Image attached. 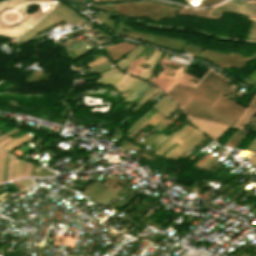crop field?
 <instances>
[{"instance_id": "1", "label": "crop field", "mask_w": 256, "mask_h": 256, "mask_svg": "<svg viewBox=\"0 0 256 256\" xmlns=\"http://www.w3.org/2000/svg\"><path fill=\"white\" fill-rule=\"evenodd\" d=\"M200 82L207 85L219 94H223L229 85L228 81L210 71ZM203 84L198 82L195 87H192L177 82L167 91V94L170 95L175 101H177L182 107L189 99V97L193 95L195 98L211 106L214 105L239 120L245 109L234 104L223 95L217 94ZM193 96H191V98L183 107V110L188 112L193 117L230 126H235L237 123V120L230 117L223 111L217 109L214 106L211 108V106L195 99ZM255 110L256 97L248 109L245 110L242 117L236 124V127L243 128Z\"/></svg>"}, {"instance_id": "2", "label": "crop field", "mask_w": 256, "mask_h": 256, "mask_svg": "<svg viewBox=\"0 0 256 256\" xmlns=\"http://www.w3.org/2000/svg\"><path fill=\"white\" fill-rule=\"evenodd\" d=\"M190 129V127L187 125L182 131H180V132H178L175 136H173V137H171L164 145H162L155 153L158 155L159 154V152L164 148V147H166L170 142H172L173 140H175L176 138H178L179 136H181V135H183L187 130H189ZM192 131H194V129H190L188 132H186L183 136H181L180 138H178V139H176L175 141H173L172 143H170L166 148H168L169 146H171L172 144H174L176 141H178V140H181L182 138H184V137H186L189 133H191ZM197 131L195 130L194 132H192L190 135H188L186 138H184V139H182L180 142L181 143H183L184 141H186L189 137H191L192 135H194L195 133H196ZM198 134H200L199 132L198 133H196L194 136H192L191 138H189L186 142H184L183 144H181V146L183 147L184 145H186L188 142H190L195 136H197ZM201 135V134H200ZM200 135H198L197 137H195L191 142H193L195 139H197ZM203 137V135L201 136V137H199L197 140H195L193 143H189V144H187V145H189V146H185V147H180V148H182V149H184V150H182V149H180L179 147H177V146H179L180 144H178L177 146H175L174 148H176V149H174V148H172L171 150H173L170 154H169V152L171 151V150H169L168 151V153L166 154V156H167V158H170L171 157V155H172V153L174 152V151H176V150H178V149H180V150H178V151H176V152H174L173 153V155H172V157L173 156H175L178 152H180L181 150V152L180 153H178L175 157H173V159H175L178 155H180L181 153H183L185 150H187L190 146H192L194 143H196L198 140H200L201 138ZM199 142V141H198ZM166 148H164L161 152H160V154H159V156L162 154V152L163 151H165V149ZM165 156V155H164ZM165 156V157H166ZM171 157V158H172Z\"/></svg>"}, {"instance_id": "3", "label": "crop field", "mask_w": 256, "mask_h": 256, "mask_svg": "<svg viewBox=\"0 0 256 256\" xmlns=\"http://www.w3.org/2000/svg\"><path fill=\"white\" fill-rule=\"evenodd\" d=\"M221 10L240 12V10L237 8V6L234 4V2L232 0L222 6H219V7L210 9V10L184 9V10H181L180 13L195 14V15H199V16H209L210 15V17H217L220 15Z\"/></svg>"}, {"instance_id": "4", "label": "crop field", "mask_w": 256, "mask_h": 256, "mask_svg": "<svg viewBox=\"0 0 256 256\" xmlns=\"http://www.w3.org/2000/svg\"><path fill=\"white\" fill-rule=\"evenodd\" d=\"M115 69L109 71V72H106V73H103L102 77H100L98 80H100L101 78H103L104 76L108 75L109 73H111L112 71H114ZM116 71H114L113 73L109 74L108 76H106L105 78L101 79L100 81L98 82H102L104 81L105 79H107L109 76H111L112 74H114ZM123 75L118 71L117 73H115L114 75H112L110 78H108L107 80H105L104 82H102L103 84H115ZM127 77V75H124L115 85L114 87L116 88L125 78ZM132 77L128 76L118 87L117 89H121ZM134 80V78H132L120 91L122 92L132 81Z\"/></svg>"}, {"instance_id": "5", "label": "crop field", "mask_w": 256, "mask_h": 256, "mask_svg": "<svg viewBox=\"0 0 256 256\" xmlns=\"http://www.w3.org/2000/svg\"><path fill=\"white\" fill-rule=\"evenodd\" d=\"M13 158H14V157L11 156V157H10V161H9L8 181L11 180V167H12V163H13ZM15 165H16V162L13 163V167H12V179L15 178ZM19 165H20V160H18L17 165H16V178L18 177ZM25 165H26V163H25ZM23 166H24V162L21 161L19 177L22 176V173H23ZM30 166H31V165L27 164L25 175L28 174V171H29V169H30ZM31 167H32V166H31ZM24 172H25V166H24ZM29 172H30V171H29ZM23 176H24V174H23Z\"/></svg>"}, {"instance_id": "6", "label": "crop field", "mask_w": 256, "mask_h": 256, "mask_svg": "<svg viewBox=\"0 0 256 256\" xmlns=\"http://www.w3.org/2000/svg\"><path fill=\"white\" fill-rule=\"evenodd\" d=\"M173 105V104L169 99H167L165 96L157 103L155 104L153 107H155L157 110H159L161 113H165L166 111H168ZM176 106V105H175ZM173 106L167 113H165L164 115H168L171 110L175 107Z\"/></svg>"}, {"instance_id": "7", "label": "crop field", "mask_w": 256, "mask_h": 256, "mask_svg": "<svg viewBox=\"0 0 256 256\" xmlns=\"http://www.w3.org/2000/svg\"><path fill=\"white\" fill-rule=\"evenodd\" d=\"M192 125H194L196 128H198L201 132L203 131L205 134H207L212 139L218 140L220 138V136L223 134V131L207 128V127L196 125V124H192Z\"/></svg>"}, {"instance_id": "8", "label": "crop field", "mask_w": 256, "mask_h": 256, "mask_svg": "<svg viewBox=\"0 0 256 256\" xmlns=\"http://www.w3.org/2000/svg\"><path fill=\"white\" fill-rule=\"evenodd\" d=\"M236 4L238 5L241 12H243L247 15H251V16L256 17V15H255L256 14V2L250 3V5H251L252 9L254 10L255 14H254L253 10L251 9V7L248 3L240 4V3L236 2Z\"/></svg>"}, {"instance_id": "9", "label": "crop field", "mask_w": 256, "mask_h": 256, "mask_svg": "<svg viewBox=\"0 0 256 256\" xmlns=\"http://www.w3.org/2000/svg\"><path fill=\"white\" fill-rule=\"evenodd\" d=\"M139 46L140 45H137L126 57H128L131 53H133ZM143 48L144 46H140L125 62H123L125 59H121L120 61H118L116 63L117 66L123 62L119 66L121 69H123Z\"/></svg>"}, {"instance_id": "10", "label": "crop field", "mask_w": 256, "mask_h": 256, "mask_svg": "<svg viewBox=\"0 0 256 256\" xmlns=\"http://www.w3.org/2000/svg\"><path fill=\"white\" fill-rule=\"evenodd\" d=\"M162 55V52L158 51L157 55L155 56L154 60L152 61L151 65L149 66L148 70L145 71V73L142 75V78L148 80L150 75L152 74V70L155 67V65L158 63L160 57Z\"/></svg>"}, {"instance_id": "11", "label": "crop field", "mask_w": 256, "mask_h": 256, "mask_svg": "<svg viewBox=\"0 0 256 256\" xmlns=\"http://www.w3.org/2000/svg\"><path fill=\"white\" fill-rule=\"evenodd\" d=\"M247 131L239 129L238 132L229 140L227 145L235 147L237 143L244 137Z\"/></svg>"}, {"instance_id": "12", "label": "crop field", "mask_w": 256, "mask_h": 256, "mask_svg": "<svg viewBox=\"0 0 256 256\" xmlns=\"http://www.w3.org/2000/svg\"><path fill=\"white\" fill-rule=\"evenodd\" d=\"M36 168H38L39 170L35 171ZM44 170H46L47 172H44ZM50 173L51 171L34 165L29 176H49Z\"/></svg>"}, {"instance_id": "13", "label": "crop field", "mask_w": 256, "mask_h": 256, "mask_svg": "<svg viewBox=\"0 0 256 256\" xmlns=\"http://www.w3.org/2000/svg\"><path fill=\"white\" fill-rule=\"evenodd\" d=\"M119 189H120V187H119ZM119 189H118V190H119ZM121 189H122V188H121ZM121 189H120V190H121ZM118 190H117V191H118ZM120 190H119V191H120ZM112 191H113V189H108V190H107L103 195H101L96 201L101 202V201L104 200L105 197H106L109 193H111ZM114 191H115V190H114ZM114 191H113V192H114ZM117 191H115V193H116ZM119 191H118V192H119ZM113 192H112V193H113ZM118 192H117V193H118ZM112 193H111V194H112ZM115 193H114V194H115ZM117 193H116V194H117ZM111 194H110V195H111ZM114 194H112L111 196L108 195V196L106 197V199H107L109 196H110V197H109L107 200L105 199V200H106V201L104 200L105 202L102 201V203L104 202V204H105ZM116 194H115V195H116ZM115 195H114V196H115Z\"/></svg>"}, {"instance_id": "14", "label": "crop field", "mask_w": 256, "mask_h": 256, "mask_svg": "<svg viewBox=\"0 0 256 256\" xmlns=\"http://www.w3.org/2000/svg\"><path fill=\"white\" fill-rule=\"evenodd\" d=\"M107 190V188L103 187L100 185V187L95 190L93 193H91L90 195H88L90 198L96 200L101 194H103L105 191Z\"/></svg>"}, {"instance_id": "15", "label": "crop field", "mask_w": 256, "mask_h": 256, "mask_svg": "<svg viewBox=\"0 0 256 256\" xmlns=\"http://www.w3.org/2000/svg\"><path fill=\"white\" fill-rule=\"evenodd\" d=\"M10 155L6 153L5 157V164H4V173H3V178L2 181L5 182L7 181V172H8V161H9Z\"/></svg>"}, {"instance_id": "16", "label": "crop field", "mask_w": 256, "mask_h": 256, "mask_svg": "<svg viewBox=\"0 0 256 256\" xmlns=\"http://www.w3.org/2000/svg\"><path fill=\"white\" fill-rule=\"evenodd\" d=\"M148 88V86H146L145 84L141 83V85L138 87V89L136 90V92L130 96L129 98L134 97L135 95H140L144 90H146ZM135 96V98H136Z\"/></svg>"}, {"instance_id": "17", "label": "crop field", "mask_w": 256, "mask_h": 256, "mask_svg": "<svg viewBox=\"0 0 256 256\" xmlns=\"http://www.w3.org/2000/svg\"><path fill=\"white\" fill-rule=\"evenodd\" d=\"M25 135H26V134H25ZM23 136H24V135H23ZM23 136H21V137H23ZM21 137H20V138H21ZM28 137H29V136H27V137H25V138H23V139H21V140H18V139H20V138H18V139H17L18 141L15 140L16 142L13 141V142H15V143L11 142V143H13L12 145H10L11 143H9L8 145H10V146L7 145L8 147H7V146H5V147H7L6 149L11 150L12 148H14V147H16V146L21 145L22 143L19 144V145H16V144L19 143V142H21V141H23L24 139H26V138H28ZM26 140H27V139H26ZM5 147H4V148H5Z\"/></svg>"}, {"instance_id": "18", "label": "crop field", "mask_w": 256, "mask_h": 256, "mask_svg": "<svg viewBox=\"0 0 256 256\" xmlns=\"http://www.w3.org/2000/svg\"><path fill=\"white\" fill-rule=\"evenodd\" d=\"M247 40L256 41V20H255L254 27Z\"/></svg>"}, {"instance_id": "19", "label": "crop field", "mask_w": 256, "mask_h": 256, "mask_svg": "<svg viewBox=\"0 0 256 256\" xmlns=\"http://www.w3.org/2000/svg\"><path fill=\"white\" fill-rule=\"evenodd\" d=\"M184 127H185V125H184L181 129H183ZM181 129H180V130H181ZM180 130H178V131H180ZM178 131H177V132H178ZM177 132H175V133H177ZM175 133H174V134H175ZM171 136H172V135H171ZM171 136H170V137H171ZM162 137H164V135L161 134L159 137H157V138H156L155 140H153V141H156V142H157V141L160 140ZM165 138H167V137H164L163 139H161V140H160L159 142H157V143L155 142L156 145H157L158 143H160L162 140H164ZM168 138H169V137H168ZM168 138H167V139H168ZM167 139H165V140H167ZM165 140H164V141H165ZM164 141H163V142H164ZM151 142H152V141H151ZM151 142H150V143H151ZM163 142H161V143H163ZM161 143H160V144H161ZM160 144H159V145H160ZM147 145H148V144H147ZM159 145H157V146H159ZM157 146H156V147H157Z\"/></svg>"}, {"instance_id": "20", "label": "crop field", "mask_w": 256, "mask_h": 256, "mask_svg": "<svg viewBox=\"0 0 256 256\" xmlns=\"http://www.w3.org/2000/svg\"><path fill=\"white\" fill-rule=\"evenodd\" d=\"M23 186L24 188L33 185V183L31 182L30 179H22V180H18Z\"/></svg>"}, {"instance_id": "21", "label": "crop field", "mask_w": 256, "mask_h": 256, "mask_svg": "<svg viewBox=\"0 0 256 256\" xmlns=\"http://www.w3.org/2000/svg\"><path fill=\"white\" fill-rule=\"evenodd\" d=\"M104 61H106V59L102 56V57L96 59L95 61L89 63V65L93 66L95 64H99V63L104 62Z\"/></svg>"}, {"instance_id": "22", "label": "crop field", "mask_w": 256, "mask_h": 256, "mask_svg": "<svg viewBox=\"0 0 256 256\" xmlns=\"http://www.w3.org/2000/svg\"><path fill=\"white\" fill-rule=\"evenodd\" d=\"M211 155H207V156H205L203 159H201L197 164H195L194 166L195 167H200V165L203 163V162H205L209 157H210Z\"/></svg>"}, {"instance_id": "23", "label": "crop field", "mask_w": 256, "mask_h": 256, "mask_svg": "<svg viewBox=\"0 0 256 256\" xmlns=\"http://www.w3.org/2000/svg\"><path fill=\"white\" fill-rule=\"evenodd\" d=\"M247 149L256 151V139L250 144Z\"/></svg>"}, {"instance_id": "24", "label": "crop field", "mask_w": 256, "mask_h": 256, "mask_svg": "<svg viewBox=\"0 0 256 256\" xmlns=\"http://www.w3.org/2000/svg\"><path fill=\"white\" fill-rule=\"evenodd\" d=\"M0 155H1V153H0ZM4 157H5V152H3V159H2V155H1L2 165H1V173H0V182H2V181H1V177H2V171H3V161H4ZM0 164H1V161H0Z\"/></svg>"}, {"instance_id": "25", "label": "crop field", "mask_w": 256, "mask_h": 256, "mask_svg": "<svg viewBox=\"0 0 256 256\" xmlns=\"http://www.w3.org/2000/svg\"><path fill=\"white\" fill-rule=\"evenodd\" d=\"M225 150H226V149L221 150V151H220L219 153H217L216 155L222 153V152L225 151ZM216 155H215V156H216ZM215 156L209 158L205 163H203V164L201 165V168H203V167L206 165V163L209 162L210 160H212Z\"/></svg>"}, {"instance_id": "26", "label": "crop field", "mask_w": 256, "mask_h": 256, "mask_svg": "<svg viewBox=\"0 0 256 256\" xmlns=\"http://www.w3.org/2000/svg\"><path fill=\"white\" fill-rule=\"evenodd\" d=\"M148 119H143L134 129H132L130 136L133 134V132L135 131L136 128H138L140 125H142L145 121H147ZM129 135V134H128Z\"/></svg>"}, {"instance_id": "27", "label": "crop field", "mask_w": 256, "mask_h": 256, "mask_svg": "<svg viewBox=\"0 0 256 256\" xmlns=\"http://www.w3.org/2000/svg\"><path fill=\"white\" fill-rule=\"evenodd\" d=\"M248 160H250L253 163V165L256 166V152H254L253 157L248 158Z\"/></svg>"}, {"instance_id": "28", "label": "crop field", "mask_w": 256, "mask_h": 256, "mask_svg": "<svg viewBox=\"0 0 256 256\" xmlns=\"http://www.w3.org/2000/svg\"><path fill=\"white\" fill-rule=\"evenodd\" d=\"M156 92H157V90L153 94H155ZM153 94H151L149 97H147L137 108H139L142 104H144L147 101V99L150 98Z\"/></svg>"}, {"instance_id": "29", "label": "crop field", "mask_w": 256, "mask_h": 256, "mask_svg": "<svg viewBox=\"0 0 256 256\" xmlns=\"http://www.w3.org/2000/svg\"><path fill=\"white\" fill-rule=\"evenodd\" d=\"M154 134H155V133H154ZM157 135H158L157 133H156L155 135H153V136L151 135L152 137L150 136L151 138L149 137L150 139L147 138V139H149V140L146 139L147 141H146V140H145V141L148 143V142H150V141H151L155 136H157ZM143 142H144V141H143ZM147 143H146V144H147ZM146 144H145V145H146Z\"/></svg>"}, {"instance_id": "30", "label": "crop field", "mask_w": 256, "mask_h": 256, "mask_svg": "<svg viewBox=\"0 0 256 256\" xmlns=\"http://www.w3.org/2000/svg\"><path fill=\"white\" fill-rule=\"evenodd\" d=\"M151 110H152V109H151ZM151 110H149V111L144 115V117H145ZM144 117H143V118H144ZM140 119H141V118H140ZM140 119H139V120H140ZM139 120H138V121H139ZM138 121H137V122H138ZM135 123H136V122H135ZM135 123H134V124H135ZM134 124H133V125H134ZM133 125H132V126H133ZM136 125H137V123H136L133 127H135ZM132 126H131V127H132ZM131 127H130V128H131ZM133 127H132V128H133ZM130 128H129V129H130ZM132 128H131V129H132ZM131 129H130V131H131Z\"/></svg>"}, {"instance_id": "31", "label": "crop field", "mask_w": 256, "mask_h": 256, "mask_svg": "<svg viewBox=\"0 0 256 256\" xmlns=\"http://www.w3.org/2000/svg\"><path fill=\"white\" fill-rule=\"evenodd\" d=\"M154 91H155V89H153L149 94L153 93ZM147 96H148V94L140 101V103H141ZM138 105H139V104H138ZM138 105H137V106H138ZM137 106H136V107H137ZM133 109H134V108H133ZM133 109H132V110H133Z\"/></svg>"}, {"instance_id": "32", "label": "crop field", "mask_w": 256, "mask_h": 256, "mask_svg": "<svg viewBox=\"0 0 256 256\" xmlns=\"http://www.w3.org/2000/svg\"><path fill=\"white\" fill-rule=\"evenodd\" d=\"M16 139V137L15 138H13V139H11L10 141H8L7 143H9V142H11V141H13V140H15ZM7 143H5L3 146H2V148L7 144Z\"/></svg>"}, {"instance_id": "33", "label": "crop field", "mask_w": 256, "mask_h": 256, "mask_svg": "<svg viewBox=\"0 0 256 256\" xmlns=\"http://www.w3.org/2000/svg\"><path fill=\"white\" fill-rule=\"evenodd\" d=\"M152 90V88H150L141 98H140V100L149 92V91H151Z\"/></svg>"}, {"instance_id": "34", "label": "crop field", "mask_w": 256, "mask_h": 256, "mask_svg": "<svg viewBox=\"0 0 256 256\" xmlns=\"http://www.w3.org/2000/svg\"><path fill=\"white\" fill-rule=\"evenodd\" d=\"M95 183H96V182H95ZM95 183H94V184H95ZM96 185H97V184H96ZM98 185H99V184H98ZM91 186H92V185H91ZM91 186H90V187H91ZM90 187H89V188H90ZM98 187H99V186H98ZM98 187H96V188H98ZM94 188H95V187H94ZM94 188H93V189H94ZM96 188H95V189H96ZM87 189H88V188H87ZM93 189H92V190H93ZM95 189H94V190H95ZM92 190H90V191H92ZM94 190H93V191H94ZM86 191H87V190H86ZM90 191H89V192H90ZM83 192H84V191H83ZM83 192H82V193H83ZM90 193H91V192H90Z\"/></svg>"}, {"instance_id": "35", "label": "crop field", "mask_w": 256, "mask_h": 256, "mask_svg": "<svg viewBox=\"0 0 256 256\" xmlns=\"http://www.w3.org/2000/svg\"><path fill=\"white\" fill-rule=\"evenodd\" d=\"M14 130H15V129H14ZM14 130H12L11 132H13ZM11 132H9V133H11ZM9 133H7V134H9ZM7 134H5V135H7ZM5 135L1 136L0 139H1L2 137H4Z\"/></svg>"}, {"instance_id": "36", "label": "crop field", "mask_w": 256, "mask_h": 256, "mask_svg": "<svg viewBox=\"0 0 256 256\" xmlns=\"http://www.w3.org/2000/svg\"><path fill=\"white\" fill-rule=\"evenodd\" d=\"M17 131H19V130H17ZM17 131H15V132H17ZM15 132H13V133H15ZM13 133H11V134H13ZM11 134H9V135H11ZM9 135H8V136H9ZM6 137H7V136H6ZM6 137H4V138H6ZM4 138H2V139H4ZM2 139H1V140H2ZM1 140H0V141H1Z\"/></svg>"}, {"instance_id": "37", "label": "crop field", "mask_w": 256, "mask_h": 256, "mask_svg": "<svg viewBox=\"0 0 256 256\" xmlns=\"http://www.w3.org/2000/svg\"><path fill=\"white\" fill-rule=\"evenodd\" d=\"M102 54H99V55H97L96 57H94L93 59H96V58H98V57H100Z\"/></svg>"}, {"instance_id": "38", "label": "crop field", "mask_w": 256, "mask_h": 256, "mask_svg": "<svg viewBox=\"0 0 256 256\" xmlns=\"http://www.w3.org/2000/svg\"><path fill=\"white\" fill-rule=\"evenodd\" d=\"M106 63H109V61H107V62H104V63H102V64H99V65L101 66V65H103V64H106Z\"/></svg>"}, {"instance_id": "39", "label": "crop field", "mask_w": 256, "mask_h": 256, "mask_svg": "<svg viewBox=\"0 0 256 256\" xmlns=\"http://www.w3.org/2000/svg\"><path fill=\"white\" fill-rule=\"evenodd\" d=\"M126 120H128V118H127ZM126 120H125V121H126ZM123 122H124V121H123ZM123 122H122V123H123ZM124 123H125V122H124ZM124 123H123V124H124Z\"/></svg>"}, {"instance_id": "40", "label": "crop field", "mask_w": 256, "mask_h": 256, "mask_svg": "<svg viewBox=\"0 0 256 256\" xmlns=\"http://www.w3.org/2000/svg\"><path fill=\"white\" fill-rule=\"evenodd\" d=\"M112 69V68H111ZM107 70H109V69H107ZM106 71V70H105ZM101 72H103V71H101ZM98 73H100V72H98Z\"/></svg>"}, {"instance_id": "41", "label": "crop field", "mask_w": 256, "mask_h": 256, "mask_svg": "<svg viewBox=\"0 0 256 256\" xmlns=\"http://www.w3.org/2000/svg\"><path fill=\"white\" fill-rule=\"evenodd\" d=\"M109 65H111V64H109ZM109 65H107V66H109ZM103 67V66H102ZM106 67V66H105ZM93 71V70H92Z\"/></svg>"}, {"instance_id": "42", "label": "crop field", "mask_w": 256, "mask_h": 256, "mask_svg": "<svg viewBox=\"0 0 256 256\" xmlns=\"http://www.w3.org/2000/svg\"><path fill=\"white\" fill-rule=\"evenodd\" d=\"M254 212H255V211H254ZM254 212H253V213H254Z\"/></svg>"}, {"instance_id": "43", "label": "crop field", "mask_w": 256, "mask_h": 256, "mask_svg": "<svg viewBox=\"0 0 256 256\" xmlns=\"http://www.w3.org/2000/svg\"><path fill=\"white\" fill-rule=\"evenodd\" d=\"M69 256V255H68Z\"/></svg>"}, {"instance_id": "44", "label": "crop field", "mask_w": 256, "mask_h": 256, "mask_svg": "<svg viewBox=\"0 0 256 256\" xmlns=\"http://www.w3.org/2000/svg\"><path fill=\"white\" fill-rule=\"evenodd\" d=\"M1 136V135H0Z\"/></svg>"}, {"instance_id": "45", "label": "crop field", "mask_w": 256, "mask_h": 256, "mask_svg": "<svg viewBox=\"0 0 256 256\" xmlns=\"http://www.w3.org/2000/svg\"><path fill=\"white\" fill-rule=\"evenodd\" d=\"M108 68V67H107Z\"/></svg>"}]
</instances>
